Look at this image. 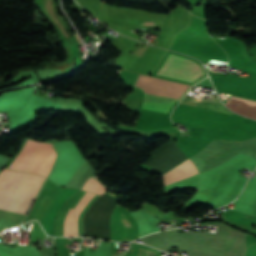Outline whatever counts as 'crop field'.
I'll use <instances>...</instances> for the list:
<instances>
[{"label": "crop field", "mask_w": 256, "mask_h": 256, "mask_svg": "<svg viewBox=\"0 0 256 256\" xmlns=\"http://www.w3.org/2000/svg\"><path fill=\"white\" fill-rule=\"evenodd\" d=\"M44 180L40 175L4 169L0 174V209L26 214Z\"/></svg>", "instance_id": "obj_1"}, {"label": "crop field", "mask_w": 256, "mask_h": 256, "mask_svg": "<svg viewBox=\"0 0 256 256\" xmlns=\"http://www.w3.org/2000/svg\"><path fill=\"white\" fill-rule=\"evenodd\" d=\"M56 154L52 145L27 140L10 168L41 174L47 177Z\"/></svg>", "instance_id": "obj_2"}, {"label": "crop field", "mask_w": 256, "mask_h": 256, "mask_svg": "<svg viewBox=\"0 0 256 256\" xmlns=\"http://www.w3.org/2000/svg\"><path fill=\"white\" fill-rule=\"evenodd\" d=\"M158 75L185 82H193L201 78L204 73L200 65L194 61L172 54Z\"/></svg>", "instance_id": "obj_3"}, {"label": "crop field", "mask_w": 256, "mask_h": 256, "mask_svg": "<svg viewBox=\"0 0 256 256\" xmlns=\"http://www.w3.org/2000/svg\"><path fill=\"white\" fill-rule=\"evenodd\" d=\"M92 196L93 194L89 192H82L68 211L65 218V231H69V236H78L77 217ZM64 236H68V232H65Z\"/></svg>", "instance_id": "obj_4"}, {"label": "crop field", "mask_w": 256, "mask_h": 256, "mask_svg": "<svg viewBox=\"0 0 256 256\" xmlns=\"http://www.w3.org/2000/svg\"><path fill=\"white\" fill-rule=\"evenodd\" d=\"M225 105L238 114L256 119V101L231 96Z\"/></svg>", "instance_id": "obj_5"}, {"label": "crop field", "mask_w": 256, "mask_h": 256, "mask_svg": "<svg viewBox=\"0 0 256 256\" xmlns=\"http://www.w3.org/2000/svg\"><path fill=\"white\" fill-rule=\"evenodd\" d=\"M176 101V99L145 94L142 108L168 113Z\"/></svg>", "instance_id": "obj_6"}, {"label": "crop field", "mask_w": 256, "mask_h": 256, "mask_svg": "<svg viewBox=\"0 0 256 256\" xmlns=\"http://www.w3.org/2000/svg\"><path fill=\"white\" fill-rule=\"evenodd\" d=\"M83 190L92 191L96 194H102L106 191L99 181L93 177H90L82 187Z\"/></svg>", "instance_id": "obj_7"}, {"label": "crop field", "mask_w": 256, "mask_h": 256, "mask_svg": "<svg viewBox=\"0 0 256 256\" xmlns=\"http://www.w3.org/2000/svg\"><path fill=\"white\" fill-rule=\"evenodd\" d=\"M157 255H158L157 253H153V252L146 251L143 249L138 248V250H137V256H157Z\"/></svg>", "instance_id": "obj_8"}, {"label": "crop field", "mask_w": 256, "mask_h": 256, "mask_svg": "<svg viewBox=\"0 0 256 256\" xmlns=\"http://www.w3.org/2000/svg\"><path fill=\"white\" fill-rule=\"evenodd\" d=\"M144 23H152V22L144 21Z\"/></svg>", "instance_id": "obj_9"}]
</instances>
